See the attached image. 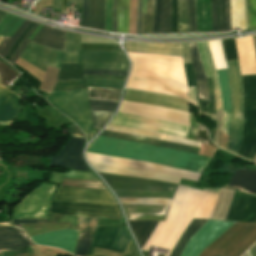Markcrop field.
I'll return each instance as SVG.
<instances>
[{
    "mask_svg": "<svg viewBox=\"0 0 256 256\" xmlns=\"http://www.w3.org/2000/svg\"><path fill=\"white\" fill-rule=\"evenodd\" d=\"M206 81H207L210 102L197 100V103L199 106V112L210 116L211 119L215 121L216 111H215L214 91H213L211 77L206 78Z\"/></svg>",
    "mask_w": 256,
    "mask_h": 256,
    "instance_id": "crop-field-36",
    "label": "crop field"
},
{
    "mask_svg": "<svg viewBox=\"0 0 256 256\" xmlns=\"http://www.w3.org/2000/svg\"><path fill=\"white\" fill-rule=\"evenodd\" d=\"M86 151L148 161L194 172H199L210 160L207 156L101 136L94 139Z\"/></svg>",
    "mask_w": 256,
    "mask_h": 256,
    "instance_id": "crop-field-4",
    "label": "crop field"
},
{
    "mask_svg": "<svg viewBox=\"0 0 256 256\" xmlns=\"http://www.w3.org/2000/svg\"><path fill=\"white\" fill-rule=\"evenodd\" d=\"M212 1V21L213 31L229 30V0H211Z\"/></svg>",
    "mask_w": 256,
    "mask_h": 256,
    "instance_id": "crop-field-27",
    "label": "crop field"
},
{
    "mask_svg": "<svg viewBox=\"0 0 256 256\" xmlns=\"http://www.w3.org/2000/svg\"><path fill=\"white\" fill-rule=\"evenodd\" d=\"M129 225L142 249L146 240L148 239L152 229L154 228L157 222L155 221H137V220H128Z\"/></svg>",
    "mask_w": 256,
    "mask_h": 256,
    "instance_id": "crop-field-31",
    "label": "crop field"
},
{
    "mask_svg": "<svg viewBox=\"0 0 256 256\" xmlns=\"http://www.w3.org/2000/svg\"><path fill=\"white\" fill-rule=\"evenodd\" d=\"M61 185L94 189H106L100 181L89 180L64 179Z\"/></svg>",
    "mask_w": 256,
    "mask_h": 256,
    "instance_id": "crop-field-46",
    "label": "crop field"
},
{
    "mask_svg": "<svg viewBox=\"0 0 256 256\" xmlns=\"http://www.w3.org/2000/svg\"><path fill=\"white\" fill-rule=\"evenodd\" d=\"M217 74H218V81H219L221 101H222V110H223L221 130L228 135L230 124H231V118H232V99H231L228 71L227 69L219 70L217 71Z\"/></svg>",
    "mask_w": 256,
    "mask_h": 256,
    "instance_id": "crop-field-22",
    "label": "crop field"
},
{
    "mask_svg": "<svg viewBox=\"0 0 256 256\" xmlns=\"http://www.w3.org/2000/svg\"><path fill=\"white\" fill-rule=\"evenodd\" d=\"M125 100L159 105L164 107L176 108L184 111H188V101L170 95L157 94L145 91H138L132 89H125Z\"/></svg>",
    "mask_w": 256,
    "mask_h": 256,
    "instance_id": "crop-field-20",
    "label": "crop field"
},
{
    "mask_svg": "<svg viewBox=\"0 0 256 256\" xmlns=\"http://www.w3.org/2000/svg\"><path fill=\"white\" fill-rule=\"evenodd\" d=\"M31 21L25 20L23 24L18 28L12 37H4L0 43V56L4 58L7 52L10 50L17 38L23 33V31L30 25Z\"/></svg>",
    "mask_w": 256,
    "mask_h": 256,
    "instance_id": "crop-field-41",
    "label": "crop field"
},
{
    "mask_svg": "<svg viewBox=\"0 0 256 256\" xmlns=\"http://www.w3.org/2000/svg\"><path fill=\"white\" fill-rule=\"evenodd\" d=\"M119 112L145 116L157 120L176 122L190 126L189 113L162 107L138 104L123 100Z\"/></svg>",
    "mask_w": 256,
    "mask_h": 256,
    "instance_id": "crop-field-13",
    "label": "crop field"
},
{
    "mask_svg": "<svg viewBox=\"0 0 256 256\" xmlns=\"http://www.w3.org/2000/svg\"><path fill=\"white\" fill-rule=\"evenodd\" d=\"M68 3H81V0H68Z\"/></svg>",
    "mask_w": 256,
    "mask_h": 256,
    "instance_id": "crop-field-78",
    "label": "crop field"
},
{
    "mask_svg": "<svg viewBox=\"0 0 256 256\" xmlns=\"http://www.w3.org/2000/svg\"><path fill=\"white\" fill-rule=\"evenodd\" d=\"M231 29H245V6L244 0H230Z\"/></svg>",
    "mask_w": 256,
    "mask_h": 256,
    "instance_id": "crop-field-35",
    "label": "crop field"
},
{
    "mask_svg": "<svg viewBox=\"0 0 256 256\" xmlns=\"http://www.w3.org/2000/svg\"><path fill=\"white\" fill-rule=\"evenodd\" d=\"M83 145L84 138L71 137L59 155L51 158L50 166L90 171L82 157Z\"/></svg>",
    "mask_w": 256,
    "mask_h": 256,
    "instance_id": "crop-field-16",
    "label": "crop field"
},
{
    "mask_svg": "<svg viewBox=\"0 0 256 256\" xmlns=\"http://www.w3.org/2000/svg\"><path fill=\"white\" fill-rule=\"evenodd\" d=\"M34 245L25 233L8 223H0V248Z\"/></svg>",
    "mask_w": 256,
    "mask_h": 256,
    "instance_id": "crop-field-25",
    "label": "crop field"
},
{
    "mask_svg": "<svg viewBox=\"0 0 256 256\" xmlns=\"http://www.w3.org/2000/svg\"><path fill=\"white\" fill-rule=\"evenodd\" d=\"M78 231L61 230L46 234L32 236V240L40 245L61 248L70 253H74Z\"/></svg>",
    "mask_w": 256,
    "mask_h": 256,
    "instance_id": "crop-field-21",
    "label": "crop field"
},
{
    "mask_svg": "<svg viewBox=\"0 0 256 256\" xmlns=\"http://www.w3.org/2000/svg\"><path fill=\"white\" fill-rule=\"evenodd\" d=\"M85 75H111V76H125L127 71H112V70H90L84 69Z\"/></svg>",
    "mask_w": 256,
    "mask_h": 256,
    "instance_id": "crop-field-55",
    "label": "crop field"
},
{
    "mask_svg": "<svg viewBox=\"0 0 256 256\" xmlns=\"http://www.w3.org/2000/svg\"><path fill=\"white\" fill-rule=\"evenodd\" d=\"M249 253L251 256H256V245L249 249Z\"/></svg>",
    "mask_w": 256,
    "mask_h": 256,
    "instance_id": "crop-field-73",
    "label": "crop field"
},
{
    "mask_svg": "<svg viewBox=\"0 0 256 256\" xmlns=\"http://www.w3.org/2000/svg\"><path fill=\"white\" fill-rule=\"evenodd\" d=\"M141 29V0H138V9H137V33H140Z\"/></svg>",
    "mask_w": 256,
    "mask_h": 256,
    "instance_id": "crop-field-68",
    "label": "crop field"
},
{
    "mask_svg": "<svg viewBox=\"0 0 256 256\" xmlns=\"http://www.w3.org/2000/svg\"><path fill=\"white\" fill-rule=\"evenodd\" d=\"M3 39V37H0V41Z\"/></svg>",
    "mask_w": 256,
    "mask_h": 256,
    "instance_id": "crop-field-83",
    "label": "crop field"
},
{
    "mask_svg": "<svg viewBox=\"0 0 256 256\" xmlns=\"http://www.w3.org/2000/svg\"><path fill=\"white\" fill-rule=\"evenodd\" d=\"M253 39H254L255 52H256V36H253Z\"/></svg>",
    "mask_w": 256,
    "mask_h": 256,
    "instance_id": "crop-field-80",
    "label": "crop field"
},
{
    "mask_svg": "<svg viewBox=\"0 0 256 256\" xmlns=\"http://www.w3.org/2000/svg\"><path fill=\"white\" fill-rule=\"evenodd\" d=\"M145 2L146 0H142V13H145Z\"/></svg>",
    "mask_w": 256,
    "mask_h": 256,
    "instance_id": "crop-field-77",
    "label": "crop field"
},
{
    "mask_svg": "<svg viewBox=\"0 0 256 256\" xmlns=\"http://www.w3.org/2000/svg\"><path fill=\"white\" fill-rule=\"evenodd\" d=\"M117 22L118 33H128L129 0H118Z\"/></svg>",
    "mask_w": 256,
    "mask_h": 256,
    "instance_id": "crop-field-37",
    "label": "crop field"
},
{
    "mask_svg": "<svg viewBox=\"0 0 256 256\" xmlns=\"http://www.w3.org/2000/svg\"><path fill=\"white\" fill-rule=\"evenodd\" d=\"M196 141H200V142H203V143H206V144H209V145H213L215 146L208 138L207 136V133L205 131V128L204 126L200 123L199 125V129H198V132H197V136H196Z\"/></svg>",
    "mask_w": 256,
    "mask_h": 256,
    "instance_id": "crop-field-62",
    "label": "crop field"
},
{
    "mask_svg": "<svg viewBox=\"0 0 256 256\" xmlns=\"http://www.w3.org/2000/svg\"><path fill=\"white\" fill-rule=\"evenodd\" d=\"M129 240L124 227L97 226L87 255L92 254L94 247L123 253Z\"/></svg>",
    "mask_w": 256,
    "mask_h": 256,
    "instance_id": "crop-field-14",
    "label": "crop field"
},
{
    "mask_svg": "<svg viewBox=\"0 0 256 256\" xmlns=\"http://www.w3.org/2000/svg\"><path fill=\"white\" fill-rule=\"evenodd\" d=\"M35 24V22H32L28 29L18 38V40L16 41V43L14 44V46L12 47V49L10 50V52L8 53L4 60L9 62V60L11 59V57L13 56V54L15 53V51L17 50L25 36L28 34V32L33 28Z\"/></svg>",
    "mask_w": 256,
    "mask_h": 256,
    "instance_id": "crop-field-57",
    "label": "crop field"
},
{
    "mask_svg": "<svg viewBox=\"0 0 256 256\" xmlns=\"http://www.w3.org/2000/svg\"><path fill=\"white\" fill-rule=\"evenodd\" d=\"M254 162H256V156H255V158H254V160H253Z\"/></svg>",
    "mask_w": 256,
    "mask_h": 256,
    "instance_id": "crop-field-82",
    "label": "crop field"
},
{
    "mask_svg": "<svg viewBox=\"0 0 256 256\" xmlns=\"http://www.w3.org/2000/svg\"><path fill=\"white\" fill-rule=\"evenodd\" d=\"M243 256H249V254H248V253H245Z\"/></svg>",
    "mask_w": 256,
    "mask_h": 256,
    "instance_id": "crop-field-81",
    "label": "crop field"
},
{
    "mask_svg": "<svg viewBox=\"0 0 256 256\" xmlns=\"http://www.w3.org/2000/svg\"><path fill=\"white\" fill-rule=\"evenodd\" d=\"M55 186L41 184L16 207L13 218H46Z\"/></svg>",
    "mask_w": 256,
    "mask_h": 256,
    "instance_id": "crop-field-10",
    "label": "crop field"
},
{
    "mask_svg": "<svg viewBox=\"0 0 256 256\" xmlns=\"http://www.w3.org/2000/svg\"><path fill=\"white\" fill-rule=\"evenodd\" d=\"M178 5L177 0H171V26L170 33L177 32Z\"/></svg>",
    "mask_w": 256,
    "mask_h": 256,
    "instance_id": "crop-field-54",
    "label": "crop field"
},
{
    "mask_svg": "<svg viewBox=\"0 0 256 256\" xmlns=\"http://www.w3.org/2000/svg\"><path fill=\"white\" fill-rule=\"evenodd\" d=\"M119 46V45H117ZM111 44H81V50H107L112 51Z\"/></svg>",
    "mask_w": 256,
    "mask_h": 256,
    "instance_id": "crop-field-58",
    "label": "crop field"
},
{
    "mask_svg": "<svg viewBox=\"0 0 256 256\" xmlns=\"http://www.w3.org/2000/svg\"><path fill=\"white\" fill-rule=\"evenodd\" d=\"M24 19L6 14L0 22V35L12 36Z\"/></svg>",
    "mask_w": 256,
    "mask_h": 256,
    "instance_id": "crop-field-39",
    "label": "crop field"
},
{
    "mask_svg": "<svg viewBox=\"0 0 256 256\" xmlns=\"http://www.w3.org/2000/svg\"><path fill=\"white\" fill-rule=\"evenodd\" d=\"M92 113V122L93 128L101 130L103 125L107 122V120L111 117L112 113L110 112H95Z\"/></svg>",
    "mask_w": 256,
    "mask_h": 256,
    "instance_id": "crop-field-52",
    "label": "crop field"
},
{
    "mask_svg": "<svg viewBox=\"0 0 256 256\" xmlns=\"http://www.w3.org/2000/svg\"><path fill=\"white\" fill-rule=\"evenodd\" d=\"M110 125L168 133L180 137L186 138L188 132V126H184L176 123H169L163 121L152 120L148 118L138 117L129 114L117 113ZM167 134V135H168Z\"/></svg>",
    "mask_w": 256,
    "mask_h": 256,
    "instance_id": "crop-field-9",
    "label": "crop field"
},
{
    "mask_svg": "<svg viewBox=\"0 0 256 256\" xmlns=\"http://www.w3.org/2000/svg\"><path fill=\"white\" fill-rule=\"evenodd\" d=\"M38 223V220H13V224Z\"/></svg>",
    "mask_w": 256,
    "mask_h": 256,
    "instance_id": "crop-field-72",
    "label": "crop field"
},
{
    "mask_svg": "<svg viewBox=\"0 0 256 256\" xmlns=\"http://www.w3.org/2000/svg\"><path fill=\"white\" fill-rule=\"evenodd\" d=\"M100 135L107 136V137H113V138H119V139H125V140H131V141H135V142L148 143V144H153V145H158V146H164V147H169V148L178 149V150L187 151V152L196 153V154H198V151H199V149H197V148L182 146V145L159 141V140L150 139V138L116 133V132L103 131Z\"/></svg>",
    "mask_w": 256,
    "mask_h": 256,
    "instance_id": "crop-field-28",
    "label": "crop field"
},
{
    "mask_svg": "<svg viewBox=\"0 0 256 256\" xmlns=\"http://www.w3.org/2000/svg\"><path fill=\"white\" fill-rule=\"evenodd\" d=\"M6 12L0 11V20L2 19V17L5 15Z\"/></svg>",
    "mask_w": 256,
    "mask_h": 256,
    "instance_id": "crop-field-79",
    "label": "crop field"
},
{
    "mask_svg": "<svg viewBox=\"0 0 256 256\" xmlns=\"http://www.w3.org/2000/svg\"><path fill=\"white\" fill-rule=\"evenodd\" d=\"M226 63L233 99V118L226 150L237 154L241 145L242 136L243 92L237 60Z\"/></svg>",
    "mask_w": 256,
    "mask_h": 256,
    "instance_id": "crop-field-7",
    "label": "crop field"
},
{
    "mask_svg": "<svg viewBox=\"0 0 256 256\" xmlns=\"http://www.w3.org/2000/svg\"><path fill=\"white\" fill-rule=\"evenodd\" d=\"M117 196L123 197H151V198H169L171 199L174 193L158 192V191H127L113 190Z\"/></svg>",
    "mask_w": 256,
    "mask_h": 256,
    "instance_id": "crop-field-38",
    "label": "crop field"
},
{
    "mask_svg": "<svg viewBox=\"0 0 256 256\" xmlns=\"http://www.w3.org/2000/svg\"><path fill=\"white\" fill-rule=\"evenodd\" d=\"M161 18V0H155V16L152 33H159Z\"/></svg>",
    "mask_w": 256,
    "mask_h": 256,
    "instance_id": "crop-field-56",
    "label": "crop field"
},
{
    "mask_svg": "<svg viewBox=\"0 0 256 256\" xmlns=\"http://www.w3.org/2000/svg\"><path fill=\"white\" fill-rule=\"evenodd\" d=\"M126 51L183 57L184 63H192L187 43L156 44L127 42Z\"/></svg>",
    "mask_w": 256,
    "mask_h": 256,
    "instance_id": "crop-field-17",
    "label": "crop field"
},
{
    "mask_svg": "<svg viewBox=\"0 0 256 256\" xmlns=\"http://www.w3.org/2000/svg\"><path fill=\"white\" fill-rule=\"evenodd\" d=\"M91 110L114 112L118 102H108L89 99Z\"/></svg>",
    "mask_w": 256,
    "mask_h": 256,
    "instance_id": "crop-field-50",
    "label": "crop field"
},
{
    "mask_svg": "<svg viewBox=\"0 0 256 256\" xmlns=\"http://www.w3.org/2000/svg\"><path fill=\"white\" fill-rule=\"evenodd\" d=\"M43 25H39L38 28L32 33V35L29 37V39H32L33 36L38 32V30L42 27Z\"/></svg>",
    "mask_w": 256,
    "mask_h": 256,
    "instance_id": "crop-field-75",
    "label": "crop field"
},
{
    "mask_svg": "<svg viewBox=\"0 0 256 256\" xmlns=\"http://www.w3.org/2000/svg\"><path fill=\"white\" fill-rule=\"evenodd\" d=\"M87 87L105 88V89H121L122 80H85Z\"/></svg>",
    "mask_w": 256,
    "mask_h": 256,
    "instance_id": "crop-field-44",
    "label": "crop field"
},
{
    "mask_svg": "<svg viewBox=\"0 0 256 256\" xmlns=\"http://www.w3.org/2000/svg\"><path fill=\"white\" fill-rule=\"evenodd\" d=\"M68 91H53L47 99L52 106L73 119L87 137L92 128L87 91L86 89Z\"/></svg>",
    "mask_w": 256,
    "mask_h": 256,
    "instance_id": "crop-field-5",
    "label": "crop field"
},
{
    "mask_svg": "<svg viewBox=\"0 0 256 256\" xmlns=\"http://www.w3.org/2000/svg\"><path fill=\"white\" fill-rule=\"evenodd\" d=\"M19 96L0 85V121L15 119L21 109Z\"/></svg>",
    "mask_w": 256,
    "mask_h": 256,
    "instance_id": "crop-field-24",
    "label": "crop field"
},
{
    "mask_svg": "<svg viewBox=\"0 0 256 256\" xmlns=\"http://www.w3.org/2000/svg\"><path fill=\"white\" fill-rule=\"evenodd\" d=\"M244 92V128L239 156L253 160L256 153V75L241 76Z\"/></svg>",
    "mask_w": 256,
    "mask_h": 256,
    "instance_id": "crop-field-6",
    "label": "crop field"
},
{
    "mask_svg": "<svg viewBox=\"0 0 256 256\" xmlns=\"http://www.w3.org/2000/svg\"><path fill=\"white\" fill-rule=\"evenodd\" d=\"M196 44H197L198 52H199V55H200V59H201L202 66H203V68H204L205 74H206V76H211V75H210L209 68H208V64H207L206 57H205V55H204L202 43H201V42H198V43H196Z\"/></svg>",
    "mask_w": 256,
    "mask_h": 256,
    "instance_id": "crop-field-63",
    "label": "crop field"
},
{
    "mask_svg": "<svg viewBox=\"0 0 256 256\" xmlns=\"http://www.w3.org/2000/svg\"><path fill=\"white\" fill-rule=\"evenodd\" d=\"M202 43H203V46H204V49H205V52H206L207 60H208V63H209V67H210V71H211V75H212V79H213V85H214V91H215V101H216V110H221L220 93H219L217 75H216V71H215L214 64H213V61H212V57H211V54H210L208 42L204 41Z\"/></svg>",
    "mask_w": 256,
    "mask_h": 256,
    "instance_id": "crop-field-42",
    "label": "crop field"
},
{
    "mask_svg": "<svg viewBox=\"0 0 256 256\" xmlns=\"http://www.w3.org/2000/svg\"><path fill=\"white\" fill-rule=\"evenodd\" d=\"M88 22H89V0H82L81 26L88 28Z\"/></svg>",
    "mask_w": 256,
    "mask_h": 256,
    "instance_id": "crop-field-60",
    "label": "crop field"
},
{
    "mask_svg": "<svg viewBox=\"0 0 256 256\" xmlns=\"http://www.w3.org/2000/svg\"><path fill=\"white\" fill-rule=\"evenodd\" d=\"M86 156L88 161H92V162H99V163H105V164H111V165H117V166H123V167L143 169V170H148L152 172L168 174V175H172L180 178L190 179L194 181H197L198 177L200 176V174L198 173L174 169V168L165 167V166L152 164L148 162L121 159V158H115V157L104 156V155L88 153V152H86Z\"/></svg>",
    "mask_w": 256,
    "mask_h": 256,
    "instance_id": "crop-field-11",
    "label": "crop field"
},
{
    "mask_svg": "<svg viewBox=\"0 0 256 256\" xmlns=\"http://www.w3.org/2000/svg\"><path fill=\"white\" fill-rule=\"evenodd\" d=\"M190 119H191V126H190V129H189V133H188V137L187 138L194 140L196 132H197L198 123H194L191 114H190Z\"/></svg>",
    "mask_w": 256,
    "mask_h": 256,
    "instance_id": "crop-field-65",
    "label": "crop field"
},
{
    "mask_svg": "<svg viewBox=\"0 0 256 256\" xmlns=\"http://www.w3.org/2000/svg\"><path fill=\"white\" fill-rule=\"evenodd\" d=\"M189 32H196L194 0H187Z\"/></svg>",
    "mask_w": 256,
    "mask_h": 256,
    "instance_id": "crop-field-53",
    "label": "crop field"
},
{
    "mask_svg": "<svg viewBox=\"0 0 256 256\" xmlns=\"http://www.w3.org/2000/svg\"><path fill=\"white\" fill-rule=\"evenodd\" d=\"M107 129L123 131V132H128V133H134V134L150 136V137H156V138L170 139V140L179 141V142H183V143H187V144H192V145H196V146H200V144H201L200 142H196V141H192V140H188V139H184V138H180V137H176V136H172V135H167V134L152 133V132H146V131L122 128V127H115V126H110V125H108ZM111 130H109V131H111ZM164 139H160V140H164ZM170 140H165V141H170ZM174 141H170V142H174ZM175 143H178V142H175ZM183 143H181V144H183Z\"/></svg>",
    "mask_w": 256,
    "mask_h": 256,
    "instance_id": "crop-field-33",
    "label": "crop field"
},
{
    "mask_svg": "<svg viewBox=\"0 0 256 256\" xmlns=\"http://www.w3.org/2000/svg\"><path fill=\"white\" fill-rule=\"evenodd\" d=\"M188 45H189V49H190V53H191V57H192V61H193V66H194L198 96L202 100L209 101L207 88H206V82H205V75H204V71L201 66L202 62L200 63L196 44L188 43Z\"/></svg>",
    "mask_w": 256,
    "mask_h": 256,
    "instance_id": "crop-field-30",
    "label": "crop field"
},
{
    "mask_svg": "<svg viewBox=\"0 0 256 256\" xmlns=\"http://www.w3.org/2000/svg\"><path fill=\"white\" fill-rule=\"evenodd\" d=\"M111 3H112V0H106L105 31H111L112 32V25H111Z\"/></svg>",
    "mask_w": 256,
    "mask_h": 256,
    "instance_id": "crop-field-61",
    "label": "crop field"
},
{
    "mask_svg": "<svg viewBox=\"0 0 256 256\" xmlns=\"http://www.w3.org/2000/svg\"><path fill=\"white\" fill-rule=\"evenodd\" d=\"M22 58L45 70L46 65L60 67V63H82L83 68L127 70L123 52L80 51V35L66 32L64 52L29 42Z\"/></svg>",
    "mask_w": 256,
    "mask_h": 256,
    "instance_id": "crop-field-3",
    "label": "crop field"
},
{
    "mask_svg": "<svg viewBox=\"0 0 256 256\" xmlns=\"http://www.w3.org/2000/svg\"><path fill=\"white\" fill-rule=\"evenodd\" d=\"M233 223L235 222L208 220L190 238L180 256H199L204 248L211 244Z\"/></svg>",
    "mask_w": 256,
    "mask_h": 256,
    "instance_id": "crop-field-12",
    "label": "crop field"
},
{
    "mask_svg": "<svg viewBox=\"0 0 256 256\" xmlns=\"http://www.w3.org/2000/svg\"><path fill=\"white\" fill-rule=\"evenodd\" d=\"M79 221V235L93 236L96 227L97 218L78 217ZM79 236L75 254L77 256H86L92 237Z\"/></svg>",
    "mask_w": 256,
    "mask_h": 256,
    "instance_id": "crop-field-26",
    "label": "crop field"
},
{
    "mask_svg": "<svg viewBox=\"0 0 256 256\" xmlns=\"http://www.w3.org/2000/svg\"><path fill=\"white\" fill-rule=\"evenodd\" d=\"M154 13V0H147L146 14H143L141 33H151Z\"/></svg>",
    "mask_w": 256,
    "mask_h": 256,
    "instance_id": "crop-field-45",
    "label": "crop field"
},
{
    "mask_svg": "<svg viewBox=\"0 0 256 256\" xmlns=\"http://www.w3.org/2000/svg\"><path fill=\"white\" fill-rule=\"evenodd\" d=\"M64 36V31L44 26L37 36L32 40V42L63 51Z\"/></svg>",
    "mask_w": 256,
    "mask_h": 256,
    "instance_id": "crop-field-29",
    "label": "crop field"
},
{
    "mask_svg": "<svg viewBox=\"0 0 256 256\" xmlns=\"http://www.w3.org/2000/svg\"><path fill=\"white\" fill-rule=\"evenodd\" d=\"M125 77H111V76H85V79H122Z\"/></svg>",
    "mask_w": 256,
    "mask_h": 256,
    "instance_id": "crop-field-69",
    "label": "crop field"
},
{
    "mask_svg": "<svg viewBox=\"0 0 256 256\" xmlns=\"http://www.w3.org/2000/svg\"><path fill=\"white\" fill-rule=\"evenodd\" d=\"M39 25V23H37L35 25V27L30 31V33L27 35V37L24 39V41L22 42V44L20 45V47L18 48V50L16 51V53L14 54V56L12 57V59L10 60V64L13 66V64L15 63V61L17 60V58L20 56L22 50L25 48L27 42L29 40H27V38L29 37V35L35 30V28Z\"/></svg>",
    "mask_w": 256,
    "mask_h": 256,
    "instance_id": "crop-field-64",
    "label": "crop field"
},
{
    "mask_svg": "<svg viewBox=\"0 0 256 256\" xmlns=\"http://www.w3.org/2000/svg\"><path fill=\"white\" fill-rule=\"evenodd\" d=\"M222 44L226 61L237 59L234 38L224 39Z\"/></svg>",
    "mask_w": 256,
    "mask_h": 256,
    "instance_id": "crop-field-51",
    "label": "crop field"
},
{
    "mask_svg": "<svg viewBox=\"0 0 256 256\" xmlns=\"http://www.w3.org/2000/svg\"><path fill=\"white\" fill-rule=\"evenodd\" d=\"M116 6H117V0H113L112 23H113V32H115V33H117Z\"/></svg>",
    "mask_w": 256,
    "mask_h": 256,
    "instance_id": "crop-field-67",
    "label": "crop field"
},
{
    "mask_svg": "<svg viewBox=\"0 0 256 256\" xmlns=\"http://www.w3.org/2000/svg\"><path fill=\"white\" fill-rule=\"evenodd\" d=\"M248 30L256 29V0H246Z\"/></svg>",
    "mask_w": 256,
    "mask_h": 256,
    "instance_id": "crop-field-49",
    "label": "crop field"
},
{
    "mask_svg": "<svg viewBox=\"0 0 256 256\" xmlns=\"http://www.w3.org/2000/svg\"><path fill=\"white\" fill-rule=\"evenodd\" d=\"M122 256H137V253L132 241H130V243L128 244Z\"/></svg>",
    "mask_w": 256,
    "mask_h": 256,
    "instance_id": "crop-field-66",
    "label": "crop field"
},
{
    "mask_svg": "<svg viewBox=\"0 0 256 256\" xmlns=\"http://www.w3.org/2000/svg\"><path fill=\"white\" fill-rule=\"evenodd\" d=\"M207 220H195L192 219L190 224L187 226L177 243L175 244L171 254L169 256H179L182 249L189 238L206 222Z\"/></svg>",
    "mask_w": 256,
    "mask_h": 256,
    "instance_id": "crop-field-34",
    "label": "crop field"
},
{
    "mask_svg": "<svg viewBox=\"0 0 256 256\" xmlns=\"http://www.w3.org/2000/svg\"><path fill=\"white\" fill-rule=\"evenodd\" d=\"M178 32H188L186 0H179Z\"/></svg>",
    "mask_w": 256,
    "mask_h": 256,
    "instance_id": "crop-field-48",
    "label": "crop field"
},
{
    "mask_svg": "<svg viewBox=\"0 0 256 256\" xmlns=\"http://www.w3.org/2000/svg\"><path fill=\"white\" fill-rule=\"evenodd\" d=\"M54 200L116 204L108 190H94L63 186H60Z\"/></svg>",
    "mask_w": 256,
    "mask_h": 256,
    "instance_id": "crop-field-19",
    "label": "crop field"
},
{
    "mask_svg": "<svg viewBox=\"0 0 256 256\" xmlns=\"http://www.w3.org/2000/svg\"><path fill=\"white\" fill-rule=\"evenodd\" d=\"M126 53L132 62L126 87L177 95L188 100L182 58Z\"/></svg>",
    "mask_w": 256,
    "mask_h": 256,
    "instance_id": "crop-field-2",
    "label": "crop field"
},
{
    "mask_svg": "<svg viewBox=\"0 0 256 256\" xmlns=\"http://www.w3.org/2000/svg\"><path fill=\"white\" fill-rule=\"evenodd\" d=\"M89 163L97 172L154 179L175 184L179 181V178L162 174ZM217 197L214 194L178 185L165 222H158L143 249L147 250L150 245L167 248L170 249L168 256L192 218L210 219Z\"/></svg>",
    "mask_w": 256,
    "mask_h": 256,
    "instance_id": "crop-field-1",
    "label": "crop field"
},
{
    "mask_svg": "<svg viewBox=\"0 0 256 256\" xmlns=\"http://www.w3.org/2000/svg\"><path fill=\"white\" fill-rule=\"evenodd\" d=\"M63 177L98 180L92 172L69 171L67 174L52 173L50 182L60 184Z\"/></svg>",
    "mask_w": 256,
    "mask_h": 256,
    "instance_id": "crop-field-43",
    "label": "crop field"
},
{
    "mask_svg": "<svg viewBox=\"0 0 256 256\" xmlns=\"http://www.w3.org/2000/svg\"><path fill=\"white\" fill-rule=\"evenodd\" d=\"M104 6L105 0H90L89 28L104 31Z\"/></svg>",
    "mask_w": 256,
    "mask_h": 256,
    "instance_id": "crop-field-32",
    "label": "crop field"
},
{
    "mask_svg": "<svg viewBox=\"0 0 256 256\" xmlns=\"http://www.w3.org/2000/svg\"><path fill=\"white\" fill-rule=\"evenodd\" d=\"M99 174L103 177L111 189L159 190L174 192L177 187V185L160 181L123 177L103 173Z\"/></svg>",
    "mask_w": 256,
    "mask_h": 256,
    "instance_id": "crop-field-15",
    "label": "crop field"
},
{
    "mask_svg": "<svg viewBox=\"0 0 256 256\" xmlns=\"http://www.w3.org/2000/svg\"><path fill=\"white\" fill-rule=\"evenodd\" d=\"M225 220L255 223L256 196L235 191Z\"/></svg>",
    "mask_w": 256,
    "mask_h": 256,
    "instance_id": "crop-field-18",
    "label": "crop field"
},
{
    "mask_svg": "<svg viewBox=\"0 0 256 256\" xmlns=\"http://www.w3.org/2000/svg\"><path fill=\"white\" fill-rule=\"evenodd\" d=\"M27 252H33L31 246L20 247V248H4V249H0V255L27 253Z\"/></svg>",
    "mask_w": 256,
    "mask_h": 256,
    "instance_id": "crop-field-59",
    "label": "crop field"
},
{
    "mask_svg": "<svg viewBox=\"0 0 256 256\" xmlns=\"http://www.w3.org/2000/svg\"><path fill=\"white\" fill-rule=\"evenodd\" d=\"M50 213L60 215L121 219L117 205L54 201Z\"/></svg>",
    "mask_w": 256,
    "mask_h": 256,
    "instance_id": "crop-field-8",
    "label": "crop field"
},
{
    "mask_svg": "<svg viewBox=\"0 0 256 256\" xmlns=\"http://www.w3.org/2000/svg\"><path fill=\"white\" fill-rule=\"evenodd\" d=\"M61 0H54V8L60 9Z\"/></svg>",
    "mask_w": 256,
    "mask_h": 256,
    "instance_id": "crop-field-74",
    "label": "crop field"
},
{
    "mask_svg": "<svg viewBox=\"0 0 256 256\" xmlns=\"http://www.w3.org/2000/svg\"><path fill=\"white\" fill-rule=\"evenodd\" d=\"M64 4H65V10H66V7H67V0H62L61 10H63Z\"/></svg>",
    "mask_w": 256,
    "mask_h": 256,
    "instance_id": "crop-field-76",
    "label": "crop field"
},
{
    "mask_svg": "<svg viewBox=\"0 0 256 256\" xmlns=\"http://www.w3.org/2000/svg\"><path fill=\"white\" fill-rule=\"evenodd\" d=\"M88 96L92 99L118 101L121 90H104V89H92L87 88Z\"/></svg>",
    "mask_w": 256,
    "mask_h": 256,
    "instance_id": "crop-field-40",
    "label": "crop field"
},
{
    "mask_svg": "<svg viewBox=\"0 0 256 256\" xmlns=\"http://www.w3.org/2000/svg\"><path fill=\"white\" fill-rule=\"evenodd\" d=\"M170 25V0H162L160 33L168 32Z\"/></svg>",
    "mask_w": 256,
    "mask_h": 256,
    "instance_id": "crop-field-47",
    "label": "crop field"
},
{
    "mask_svg": "<svg viewBox=\"0 0 256 256\" xmlns=\"http://www.w3.org/2000/svg\"><path fill=\"white\" fill-rule=\"evenodd\" d=\"M128 219L162 220L164 221L169 206L152 205H124L122 204Z\"/></svg>",
    "mask_w": 256,
    "mask_h": 256,
    "instance_id": "crop-field-23",
    "label": "crop field"
},
{
    "mask_svg": "<svg viewBox=\"0 0 256 256\" xmlns=\"http://www.w3.org/2000/svg\"><path fill=\"white\" fill-rule=\"evenodd\" d=\"M189 100L196 103L195 87L188 88Z\"/></svg>",
    "mask_w": 256,
    "mask_h": 256,
    "instance_id": "crop-field-70",
    "label": "crop field"
},
{
    "mask_svg": "<svg viewBox=\"0 0 256 256\" xmlns=\"http://www.w3.org/2000/svg\"><path fill=\"white\" fill-rule=\"evenodd\" d=\"M72 136L84 137L83 133L75 125L72 126Z\"/></svg>",
    "mask_w": 256,
    "mask_h": 256,
    "instance_id": "crop-field-71",
    "label": "crop field"
}]
</instances>
